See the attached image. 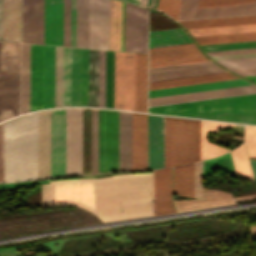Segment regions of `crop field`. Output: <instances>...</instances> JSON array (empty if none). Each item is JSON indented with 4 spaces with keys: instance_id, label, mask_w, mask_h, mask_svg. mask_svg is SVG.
Listing matches in <instances>:
<instances>
[{
    "instance_id": "obj_12",
    "label": "crop field",
    "mask_w": 256,
    "mask_h": 256,
    "mask_svg": "<svg viewBox=\"0 0 256 256\" xmlns=\"http://www.w3.org/2000/svg\"><path fill=\"white\" fill-rule=\"evenodd\" d=\"M22 42L43 44V0H22Z\"/></svg>"
},
{
    "instance_id": "obj_17",
    "label": "crop field",
    "mask_w": 256,
    "mask_h": 256,
    "mask_svg": "<svg viewBox=\"0 0 256 256\" xmlns=\"http://www.w3.org/2000/svg\"><path fill=\"white\" fill-rule=\"evenodd\" d=\"M50 178V110L38 112V179Z\"/></svg>"
},
{
    "instance_id": "obj_39",
    "label": "crop field",
    "mask_w": 256,
    "mask_h": 256,
    "mask_svg": "<svg viewBox=\"0 0 256 256\" xmlns=\"http://www.w3.org/2000/svg\"><path fill=\"white\" fill-rule=\"evenodd\" d=\"M216 61L229 69L256 67V57L220 59Z\"/></svg>"
},
{
    "instance_id": "obj_18",
    "label": "crop field",
    "mask_w": 256,
    "mask_h": 256,
    "mask_svg": "<svg viewBox=\"0 0 256 256\" xmlns=\"http://www.w3.org/2000/svg\"><path fill=\"white\" fill-rule=\"evenodd\" d=\"M43 108V46L31 44L30 111Z\"/></svg>"
},
{
    "instance_id": "obj_34",
    "label": "crop field",
    "mask_w": 256,
    "mask_h": 256,
    "mask_svg": "<svg viewBox=\"0 0 256 256\" xmlns=\"http://www.w3.org/2000/svg\"><path fill=\"white\" fill-rule=\"evenodd\" d=\"M199 45L256 40V33L195 38Z\"/></svg>"
},
{
    "instance_id": "obj_55",
    "label": "crop field",
    "mask_w": 256,
    "mask_h": 256,
    "mask_svg": "<svg viewBox=\"0 0 256 256\" xmlns=\"http://www.w3.org/2000/svg\"><path fill=\"white\" fill-rule=\"evenodd\" d=\"M246 78H248V79H250V80L256 82V76H248V77H246Z\"/></svg>"
},
{
    "instance_id": "obj_14",
    "label": "crop field",
    "mask_w": 256,
    "mask_h": 256,
    "mask_svg": "<svg viewBox=\"0 0 256 256\" xmlns=\"http://www.w3.org/2000/svg\"><path fill=\"white\" fill-rule=\"evenodd\" d=\"M164 168V117L148 115V169Z\"/></svg>"
},
{
    "instance_id": "obj_27",
    "label": "crop field",
    "mask_w": 256,
    "mask_h": 256,
    "mask_svg": "<svg viewBox=\"0 0 256 256\" xmlns=\"http://www.w3.org/2000/svg\"><path fill=\"white\" fill-rule=\"evenodd\" d=\"M190 42L192 40L180 28L149 32V48Z\"/></svg>"
},
{
    "instance_id": "obj_37",
    "label": "crop field",
    "mask_w": 256,
    "mask_h": 256,
    "mask_svg": "<svg viewBox=\"0 0 256 256\" xmlns=\"http://www.w3.org/2000/svg\"><path fill=\"white\" fill-rule=\"evenodd\" d=\"M63 106H70V48L63 47Z\"/></svg>"
},
{
    "instance_id": "obj_32",
    "label": "crop field",
    "mask_w": 256,
    "mask_h": 256,
    "mask_svg": "<svg viewBox=\"0 0 256 256\" xmlns=\"http://www.w3.org/2000/svg\"><path fill=\"white\" fill-rule=\"evenodd\" d=\"M79 106H88V49H80Z\"/></svg>"
},
{
    "instance_id": "obj_54",
    "label": "crop field",
    "mask_w": 256,
    "mask_h": 256,
    "mask_svg": "<svg viewBox=\"0 0 256 256\" xmlns=\"http://www.w3.org/2000/svg\"><path fill=\"white\" fill-rule=\"evenodd\" d=\"M0 40H2L1 0H0Z\"/></svg>"
},
{
    "instance_id": "obj_10",
    "label": "crop field",
    "mask_w": 256,
    "mask_h": 256,
    "mask_svg": "<svg viewBox=\"0 0 256 256\" xmlns=\"http://www.w3.org/2000/svg\"><path fill=\"white\" fill-rule=\"evenodd\" d=\"M89 48L109 49V0H89Z\"/></svg>"
},
{
    "instance_id": "obj_8",
    "label": "crop field",
    "mask_w": 256,
    "mask_h": 256,
    "mask_svg": "<svg viewBox=\"0 0 256 256\" xmlns=\"http://www.w3.org/2000/svg\"><path fill=\"white\" fill-rule=\"evenodd\" d=\"M256 13V0H195L191 19Z\"/></svg>"
},
{
    "instance_id": "obj_11",
    "label": "crop field",
    "mask_w": 256,
    "mask_h": 256,
    "mask_svg": "<svg viewBox=\"0 0 256 256\" xmlns=\"http://www.w3.org/2000/svg\"><path fill=\"white\" fill-rule=\"evenodd\" d=\"M65 176V109L51 110V178Z\"/></svg>"
},
{
    "instance_id": "obj_24",
    "label": "crop field",
    "mask_w": 256,
    "mask_h": 256,
    "mask_svg": "<svg viewBox=\"0 0 256 256\" xmlns=\"http://www.w3.org/2000/svg\"><path fill=\"white\" fill-rule=\"evenodd\" d=\"M249 84L250 83H248L242 79H238V80H230V81L214 82V83H207V84L176 87V88L152 90V91H149V97L177 94V93H185V92H193V91H201V90H209V89H217V88H225V87H233V86H241V85H249Z\"/></svg>"
},
{
    "instance_id": "obj_20",
    "label": "crop field",
    "mask_w": 256,
    "mask_h": 256,
    "mask_svg": "<svg viewBox=\"0 0 256 256\" xmlns=\"http://www.w3.org/2000/svg\"><path fill=\"white\" fill-rule=\"evenodd\" d=\"M3 40L19 42L20 0H2Z\"/></svg>"
},
{
    "instance_id": "obj_42",
    "label": "crop field",
    "mask_w": 256,
    "mask_h": 256,
    "mask_svg": "<svg viewBox=\"0 0 256 256\" xmlns=\"http://www.w3.org/2000/svg\"><path fill=\"white\" fill-rule=\"evenodd\" d=\"M204 51L256 47V41L200 46Z\"/></svg>"
},
{
    "instance_id": "obj_28",
    "label": "crop field",
    "mask_w": 256,
    "mask_h": 256,
    "mask_svg": "<svg viewBox=\"0 0 256 256\" xmlns=\"http://www.w3.org/2000/svg\"><path fill=\"white\" fill-rule=\"evenodd\" d=\"M76 47L88 48V0H77Z\"/></svg>"
},
{
    "instance_id": "obj_52",
    "label": "crop field",
    "mask_w": 256,
    "mask_h": 256,
    "mask_svg": "<svg viewBox=\"0 0 256 256\" xmlns=\"http://www.w3.org/2000/svg\"><path fill=\"white\" fill-rule=\"evenodd\" d=\"M249 161H250L254 181L256 182V161H254V160H249Z\"/></svg>"
},
{
    "instance_id": "obj_56",
    "label": "crop field",
    "mask_w": 256,
    "mask_h": 256,
    "mask_svg": "<svg viewBox=\"0 0 256 256\" xmlns=\"http://www.w3.org/2000/svg\"><path fill=\"white\" fill-rule=\"evenodd\" d=\"M140 5H142V6H145V7H146V5H147V0H141Z\"/></svg>"
},
{
    "instance_id": "obj_44",
    "label": "crop field",
    "mask_w": 256,
    "mask_h": 256,
    "mask_svg": "<svg viewBox=\"0 0 256 256\" xmlns=\"http://www.w3.org/2000/svg\"><path fill=\"white\" fill-rule=\"evenodd\" d=\"M64 46H70V0H64Z\"/></svg>"
},
{
    "instance_id": "obj_47",
    "label": "crop field",
    "mask_w": 256,
    "mask_h": 256,
    "mask_svg": "<svg viewBox=\"0 0 256 256\" xmlns=\"http://www.w3.org/2000/svg\"><path fill=\"white\" fill-rule=\"evenodd\" d=\"M45 183H49V182L47 180H42V181L12 183V184H0V189H13L17 187H27L31 185L45 184Z\"/></svg>"
},
{
    "instance_id": "obj_29",
    "label": "crop field",
    "mask_w": 256,
    "mask_h": 256,
    "mask_svg": "<svg viewBox=\"0 0 256 256\" xmlns=\"http://www.w3.org/2000/svg\"><path fill=\"white\" fill-rule=\"evenodd\" d=\"M30 44H22L21 113L29 111Z\"/></svg>"
},
{
    "instance_id": "obj_36",
    "label": "crop field",
    "mask_w": 256,
    "mask_h": 256,
    "mask_svg": "<svg viewBox=\"0 0 256 256\" xmlns=\"http://www.w3.org/2000/svg\"><path fill=\"white\" fill-rule=\"evenodd\" d=\"M98 173V109H92L91 174Z\"/></svg>"
},
{
    "instance_id": "obj_40",
    "label": "crop field",
    "mask_w": 256,
    "mask_h": 256,
    "mask_svg": "<svg viewBox=\"0 0 256 256\" xmlns=\"http://www.w3.org/2000/svg\"><path fill=\"white\" fill-rule=\"evenodd\" d=\"M180 3L181 0H159L157 8L177 20Z\"/></svg>"
},
{
    "instance_id": "obj_33",
    "label": "crop field",
    "mask_w": 256,
    "mask_h": 256,
    "mask_svg": "<svg viewBox=\"0 0 256 256\" xmlns=\"http://www.w3.org/2000/svg\"><path fill=\"white\" fill-rule=\"evenodd\" d=\"M233 160V164L238 176L247 178L253 181L250 165L248 162L246 150L244 144L237 149L230 152Z\"/></svg>"
},
{
    "instance_id": "obj_50",
    "label": "crop field",
    "mask_w": 256,
    "mask_h": 256,
    "mask_svg": "<svg viewBox=\"0 0 256 256\" xmlns=\"http://www.w3.org/2000/svg\"><path fill=\"white\" fill-rule=\"evenodd\" d=\"M242 76H247V75H256V68H248V69H236L232 70Z\"/></svg>"
},
{
    "instance_id": "obj_51",
    "label": "crop field",
    "mask_w": 256,
    "mask_h": 256,
    "mask_svg": "<svg viewBox=\"0 0 256 256\" xmlns=\"http://www.w3.org/2000/svg\"><path fill=\"white\" fill-rule=\"evenodd\" d=\"M244 56H256V53L226 55V56H215V57H212V58L213 59H220V58H232V57H244Z\"/></svg>"
},
{
    "instance_id": "obj_3",
    "label": "crop field",
    "mask_w": 256,
    "mask_h": 256,
    "mask_svg": "<svg viewBox=\"0 0 256 256\" xmlns=\"http://www.w3.org/2000/svg\"><path fill=\"white\" fill-rule=\"evenodd\" d=\"M200 160V121L165 117V168Z\"/></svg>"
},
{
    "instance_id": "obj_53",
    "label": "crop field",
    "mask_w": 256,
    "mask_h": 256,
    "mask_svg": "<svg viewBox=\"0 0 256 256\" xmlns=\"http://www.w3.org/2000/svg\"><path fill=\"white\" fill-rule=\"evenodd\" d=\"M157 1L158 0H148V5L147 7H155L157 6Z\"/></svg>"
},
{
    "instance_id": "obj_19",
    "label": "crop field",
    "mask_w": 256,
    "mask_h": 256,
    "mask_svg": "<svg viewBox=\"0 0 256 256\" xmlns=\"http://www.w3.org/2000/svg\"><path fill=\"white\" fill-rule=\"evenodd\" d=\"M131 170V113L119 111V171Z\"/></svg>"
},
{
    "instance_id": "obj_49",
    "label": "crop field",
    "mask_w": 256,
    "mask_h": 256,
    "mask_svg": "<svg viewBox=\"0 0 256 256\" xmlns=\"http://www.w3.org/2000/svg\"><path fill=\"white\" fill-rule=\"evenodd\" d=\"M0 182H3V123L0 124Z\"/></svg>"
},
{
    "instance_id": "obj_38",
    "label": "crop field",
    "mask_w": 256,
    "mask_h": 256,
    "mask_svg": "<svg viewBox=\"0 0 256 256\" xmlns=\"http://www.w3.org/2000/svg\"><path fill=\"white\" fill-rule=\"evenodd\" d=\"M62 106V47H56L55 107Z\"/></svg>"
},
{
    "instance_id": "obj_31",
    "label": "crop field",
    "mask_w": 256,
    "mask_h": 256,
    "mask_svg": "<svg viewBox=\"0 0 256 256\" xmlns=\"http://www.w3.org/2000/svg\"><path fill=\"white\" fill-rule=\"evenodd\" d=\"M188 31L192 34L193 37L256 32V24L228 26V27H216V28H204V29H192V30H188Z\"/></svg>"
},
{
    "instance_id": "obj_30",
    "label": "crop field",
    "mask_w": 256,
    "mask_h": 256,
    "mask_svg": "<svg viewBox=\"0 0 256 256\" xmlns=\"http://www.w3.org/2000/svg\"><path fill=\"white\" fill-rule=\"evenodd\" d=\"M89 106H98V50L89 49Z\"/></svg>"
},
{
    "instance_id": "obj_26",
    "label": "crop field",
    "mask_w": 256,
    "mask_h": 256,
    "mask_svg": "<svg viewBox=\"0 0 256 256\" xmlns=\"http://www.w3.org/2000/svg\"><path fill=\"white\" fill-rule=\"evenodd\" d=\"M184 28H204L256 23V15L179 22Z\"/></svg>"
},
{
    "instance_id": "obj_4",
    "label": "crop field",
    "mask_w": 256,
    "mask_h": 256,
    "mask_svg": "<svg viewBox=\"0 0 256 256\" xmlns=\"http://www.w3.org/2000/svg\"><path fill=\"white\" fill-rule=\"evenodd\" d=\"M118 171V111L99 109V173Z\"/></svg>"
},
{
    "instance_id": "obj_48",
    "label": "crop field",
    "mask_w": 256,
    "mask_h": 256,
    "mask_svg": "<svg viewBox=\"0 0 256 256\" xmlns=\"http://www.w3.org/2000/svg\"><path fill=\"white\" fill-rule=\"evenodd\" d=\"M76 0H71V46L75 47Z\"/></svg>"
},
{
    "instance_id": "obj_21",
    "label": "crop field",
    "mask_w": 256,
    "mask_h": 256,
    "mask_svg": "<svg viewBox=\"0 0 256 256\" xmlns=\"http://www.w3.org/2000/svg\"><path fill=\"white\" fill-rule=\"evenodd\" d=\"M55 47L44 46V108L54 107Z\"/></svg>"
},
{
    "instance_id": "obj_7",
    "label": "crop field",
    "mask_w": 256,
    "mask_h": 256,
    "mask_svg": "<svg viewBox=\"0 0 256 256\" xmlns=\"http://www.w3.org/2000/svg\"><path fill=\"white\" fill-rule=\"evenodd\" d=\"M148 10L125 2V51L147 53Z\"/></svg>"
},
{
    "instance_id": "obj_5",
    "label": "crop field",
    "mask_w": 256,
    "mask_h": 256,
    "mask_svg": "<svg viewBox=\"0 0 256 256\" xmlns=\"http://www.w3.org/2000/svg\"><path fill=\"white\" fill-rule=\"evenodd\" d=\"M135 53L115 52L114 108L134 110Z\"/></svg>"
},
{
    "instance_id": "obj_22",
    "label": "crop field",
    "mask_w": 256,
    "mask_h": 256,
    "mask_svg": "<svg viewBox=\"0 0 256 256\" xmlns=\"http://www.w3.org/2000/svg\"><path fill=\"white\" fill-rule=\"evenodd\" d=\"M147 54L136 53L135 110L146 112Z\"/></svg>"
},
{
    "instance_id": "obj_41",
    "label": "crop field",
    "mask_w": 256,
    "mask_h": 256,
    "mask_svg": "<svg viewBox=\"0 0 256 256\" xmlns=\"http://www.w3.org/2000/svg\"><path fill=\"white\" fill-rule=\"evenodd\" d=\"M105 51L99 50V106L104 107Z\"/></svg>"
},
{
    "instance_id": "obj_57",
    "label": "crop field",
    "mask_w": 256,
    "mask_h": 256,
    "mask_svg": "<svg viewBox=\"0 0 256 256\" xmlns=\"http://www.w3.org/2000/svg\"><path fill=\"white\" fill-rule=\"evenodd\" d=\"M129 1H132V2H135V3H138L140 2V0H129Z\"/></svg>"
},
{
    "instance_id": "obj_45",
    "label": "crop field",
    "mask_w": 256,
    "mask_h": 256,
    "mask_svg": "<svg viewBox=\"0 0 256 256\" xmlns=\"http://www.w3.org/2000/svg\"><path fill=\"white\" fill-rule=\"evenodd\" d=\"M195 197L202 198V161L195 163Z\"/></svg>"
},
{
    "instance_id": "obj_9",
    "label": "crop field",
    "mask_w": 256,
    "mask_h": 256,
    "mask_svg": "<svg viewBox=\"0 0 256 256\" xmlns=\"http://www.w3.org/2000/svg\"><path fill=\"white\" fill-rule=\"evenodd\" d=\"M206 60L194 43L149 49V68Z\"/></svg>"
},
{
    "instance_id": "obj_46",
    "label": "crop field",
    "mask_w": 256,
    "mask_h": 256,
    "mask_svg": "<svg viewBox=\"0 0 256 256\" xmlns=\"http://www.w3.org/2000/svg\"><path fill=\"white\" fill-rule=\"evenodd\" d=\"M194 0H182L178 20L190 19Z\"/></svg>"
},
{
    "instance_id": "obj_23",
    "label": "crop field",
    "mask_w": 256,
    "mask_h": 256,
    "mask_svg": "<svg viewBox=\"0 0 256 256\" xmlns=\"http://www.w3.org/2000/svg\"><path fill=\"white\" fill-rule=\"evenodd\" d=\"M230 79H238V77L228 72H224V73H217V74H210V75H202V76H195V77H188V78H181V79H174V80L152 82V83H149V87H150L149 90L183 86V85H191V84H199V83H207V82H214V81H222V80H230Z\"/></svg>"
},
{
    "instance_id": "obj_1",
    "label": "crop field",
    "mask_w": 256,
    "mask_h": 256,
    "mask_svg": "<svg viewBox=\"0 0 256 256\" xmlns=\"http://www.w3.org/2000/svg\"><path fill=\"white\" fill-rule=\"evenodd\" d=\"M50 182L41 185V206L76 205L102 222L153 215V173Z\"/></svg>"
},
{
    "instance_id": "obj_35",
    "label": "crop field",
    "mask_w": 256,
    "mask_h": 256,
    "mask_svg": "<svg viewBox=\"0 0 256 256\" xmlns=\"http://www.w3.org/2000/svg\"><path fill=\"white\" fill-rule=\"evenodd\" d=\"M79 49L71 48V106H78Z\"/></svg>"
},
{
    "instance_id": "obj_6",
    "label": "crop field",
    "mask_w": 256,
    "mask_h": 256,
    "mask_svg": "<svg viewBox=\"0 0 256 256\" xmlns=\"http://www.w3.org/2000/svg\"><path fill=\"white\" fill-rule=\"evenodd\" d=\"M82 175V108L66 109V176Z\"/></svg>"
},
{
    "instance_id": "obj_2",
    "label": "crop field",
    "mask_w": 256,
    "mask_h": 256,
    "mask_svg": "<svg viewBox=\"0 0 256 256\" xmlns=\"http://www.w3.org/2000/svg\"><path fill=\"white\" fill-rule=\"evenodd\" d=\"M148 112L256 124V94L153 106Z\"/></svg>"
},
{
    "instance_id": "obj_25",
    "label": "crop field",
    "mask_w": 256,
    "mask_h": 256,
    "mask_svg": "<svg viewBox=\"0 0 256 256\" xmlns=\"http://www.w3.org/2000/svg\"><path fill=\"white\" fill-rule=\"evenodd\" d=\"M224 127H233V124L201 121V160L214 156H219L229 151V149L222 146L211 144L207 142L205 139L206 131L218 132L219 129Z\"/></svg>"
},
{
    "instance_id": "obj_13",
    "label": "crop field",
    "mask_w": 256,
    "mask_h": 256,
    "mask_svg": "<svg viewBox=\"0 0 256 256\" xmlns=\"http://www.w3.org/2000/svg\"><path fill=\"white\" fill-rule=\"evenodd\" d=\"M132 170H147V115L132 113Z\"/></svg>"
},
{
    "instance_id": "obj_16",
    "label": "crop field",
    "mask_w": 256,
    "mask_h": 256,
    "mask_svg": "<svg viewBox=\"0 0 256 256\" xmlns=\"http://www.w3.org/2000/svg\"><path fill=\"white\" fill-rule=\"evenodd\" d=\"M63 0H44V44L62 46Z\"/></svg>"
},
{
    "instance_id": "obj_15",
    "label": "crop field",
    "mask_w": 256,
    "mask_h": 256,
    "mask_svg": "<svg viewBox=\"0 0 256 256\" xmlns=\"http://www.w3.org/2000/svg\"><path fill=\"white\" fill-rule=\"evenodd\" d=\"M248 93H256V86L249 85V86L153 97V98H149L148 106L216 98V97H224V96H232V95H240V94H248Z\"/></svg>"
},
{
    "instance_id": "obj_43",
    "label": "crop field",
    "mask_w": 256,
    "mask_h": 256,
    "mask_svg": "<svg viewBox=\"0 0 256 256\" xmlns=\"http://www.w3.org/2000/svg\"><path fill=\"white\" fill-rule=\"evenodd\" d=\"M245 144L249 156H256V127L246 126Z\"/></svg>"
}]
</instances>
